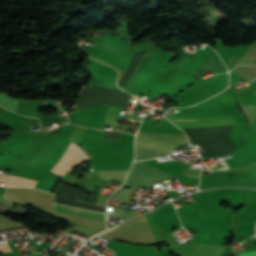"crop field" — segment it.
<instances>
[{"mask_svg": "<svg viewBox=\"0 0 256 256\" xmlns=\"http://www.w3.org/2000/svg\"><path fill=\"white\" fill-rule=\"evenodd\" d=\"M85 159H87V155L72 143L65 155L51 171L62 177Z\"/></svg>", "mask_w": 256, "mask_h": 256, "instance_id": "crop-field-1", "label": "crop field"}, {"mask_svg": "<svg viewBox=\"0 0 256 256\" xmlns=\"http://www.w3.org/2000/svg\"><path fill=\"white\" fill-rule=\"evenodd\" d=\"M52 210L56 211V212H61V213H65V214H70V215H74V216H79V217H84V218H89V219L106 222V215H104V214L81 211V210L73 209L70 207H66V206H62V205H58V204H54V203L52 204Z\"/></svg>", "mask_w": 256, "mask_h": 256, "instance_id": "crop-field-2", "label": "crop field"}, {"mask_svg": "<svg viewBox=\"0 0 256 256\" xmlns=\"http://www.w3.org/2000/svg\"><path fill=\"white\" fill-rule=\"evenodd\" d=\"M0 182L6 183V186H30L33 187L36 181L15 177L12 175H0Z\"/></svg>", "mask_w": 256, "mask_h": 256, "instance_id": "crop-field-3", "label": "crop field"}, {"mask_svg": "<svg viewBox=\"0 0 256 256\" xmlns=\"http://www.w3.org/2000/svg\"><path fill=\"white\" fill-rule=\"evenodd\" d=\"M11 251L10 247L8 246L7 243L5 244H0V252H8Z\"/></svg>", "mask_w": 256, "mask_h": 256, "instance_id": "crop-field-4", "label": "crop field"}, {"mask_svg": "<svg viewBox=\"0 0 256 256\" xmlns=\"http://www.w3.org/2000/svg\"><path fill=\"white\" fill-rule=\"evenodd\" d=\"M240 256H256V251L242 253Z\"/></svg>", "mask_w": 256, "mask_h": 256, "instance_id": "crop-field-5", "label": "crop field"}, {"mask_svg": "<svg viewBox=\"0 0 256 256\" xmlns=\"http://www.w3.org/2000/svg\"><path fill=\"white\" fill-rule=\"evenodd\" d=\"M169 120H174V119H169Z\"/></svg>", "mask_w": 256, "mask_h": 256, "instance_id": "crop-field-6", "label": "crop field"}]
</instances>
